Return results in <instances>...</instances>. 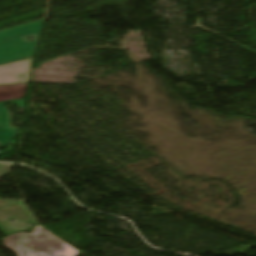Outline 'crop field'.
<instances>
[{"label":"crop field","instance_id":"crop-field-1","mask_svg":"<svg viewBox=\"0 0 256 256\" xmlns=\"http://www.w3.org/2000/svg\"><path fill=\"white\" fill-rule=\"evenodd\" d=\"M2 240L17 256H77L80 253L41 225L35 226L32 234L18 233Z\"/></svg>","mask_w":256,"mask_h":256},{"label":"crop field","instance_id":"crop-field-2","mask_svg":"<svg viewBox=\"0 0 256 256\" xmlns=\"http://www.w3.org/2000/svg\"><path fill=\"white\" fill-rule=\"evenodd\" d=\"M43 22L44 20L0 31V63L33 55ZM25 35L35 36L34 42L23 40Z\"/></svg>","mask_w":256,"mask_h":256},{"label":"crop field","instance_id":"crop-field-3","mask_svg":"<svg viewBox=\"0 0 256 256\" xmlns=\"http://www.w3.org/2000/svg\"><path fill=\"white\" fill-rule=\"evenodd\" d=\"M31 58L0 65V85L28 82L31 67Z\"/></svg>","mask_w":256,"mask_h":256},{"label":"crop field","instance_id":"crop-field-4","mask_svg":"<svg viewBox=\"0 0 256 256\" xmlns=\"http://www.w3.org/2000/svg\"><path fill=\"white\" fill-rule=\"evenodd\" d=\"M12 103L18 104L20 107H23L24 105V99L22 100H16V101H10ZM8 103H0L1 104V110H2V122H3V128H1V122H0V144L5 147L11 139L14 137V135L17 133L18 129L9 128L8 124V111L3 108V104Z\"/></svg>","mask_w":256,"mask_h":256},{"label":"crop field","instance_id":"crop-field-5","mask_svg":"<svg viewBox=\"0 0 256 256\" xmlns=\"http://www.w3.org/2000/svg\"><path fill=\"white\" fill-rule=\"evenodd\" d=\"M28 84L0 86V102L24 98Z\"/></svg>","mask_w":256,"mask_h":256}]
</instances>
